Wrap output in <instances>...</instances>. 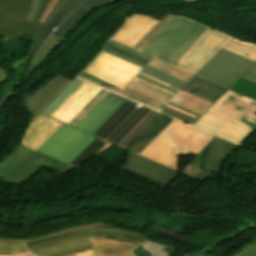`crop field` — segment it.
I'll list each match as a JSON object with an SVG mask.
<instances>
[{
	"mask_svg": "<svg viewBox=\"0 0 256 256\" xmlns=\"http://www.w3.org/2000/svg\"><path fill=\"white\" fill-rule=\"evenodd\" d=\"M215 135L175 119L141 156L177 170V155H196Z\"/></svg>",
	"mask_w": 256,
	"mask_h": 256,
	"instance_id": "1",
	"label": "crop field"
},
{
	"mask_svg": "<svg viewBox=\"0 0 256 256\" xmlns=\"http://www.w3.org/2000/svg\"><path fill=\"white\" fill-rule=\"evenodd\" d=\"M206 30L197 23L174 17L142 52L174 65Z\"/></svg>",
	"mask_w": 256,
	"mask_h": 256,
	"instance_id": "2",
	"label": "crop field"
},
{
	"mask_svg": "<svg viewBox=\"0 0 256 256\" xmlns=\"http://www.w3.org/2000/svg\"><path fill=\"white\" fill-rule=\"evenodd\" d=\"M91 238L124 239L135 242L139 245L146 241L128 233L105 230H89L51 238L27 244L25 246L36 256H65L93 249Z\"/></svg>",
	"mask_w": 256,
	"mask_h": 256,
	"instance_id": "3",
	"label": "crop field"
},
{
	"mask_svg": "<svg viewBox=\"0 0 256 256\" xmlns=\"http://www.w3.org/2000/svg\"><path fill=\"white\" fill-rule=\"evenodd\" d=\"M126 100L93 135L123 147L157 111Z\"/></svg>",
	"mask_w": 256,
	"mask_h": 256,
	"instance_id": "4",
	"label": "crop field"
},
{
	"mask_svg": "<svg viewBox=\"0 0 256 256\" xmlns=\"http://www.w3.org/2000/svg\"><path fill=\"white\" fill-rule=\"evenodd\" d=\"M43 165L54 168L62 173L72 168L19 144L0 163V179L9 183H22L32 178Z\"/></svg>",
	"mask_w": 256,
	"mask_h": 256,
	"instance_id": "5",
	"label": "crop field"
},
{
	"mask_svg": "<svg viewBox=\"0 0 256 256\" xmlns=\"http://www.w3.org/2000/svg\"><path fill=\"white\" fill-rule=\"evenodd\" d=\"M32 0H0V42L20 36L35 37L45 25L25 20Z\"/></svg>",
	"mask_w": 256,
	"mask_h": 256,
	"instance_id": "6",
	"label": "crop field"
},
{
	"mask_svg": "<svg viewBox=\"0 0 256 256\" xmlns=\"http://www.w3.org/2000/svg\"><path fill=\"white\" fill-rule=\"evenodd\" d=\"M94 139L93 136L63 124L37 152L69 165Z\"/></svg>",
	"mask_w": 256,
	"mask_h": 256,
	"instance_id": "7",
	"label": "crop field"
},
{
	"mask_svg": "<svg viewBox=\"0 0 256 256\" xmlns=\"http://www.w3.org/2000/svg\"><path fill=\"white\" fill-rule=\"evenodd\" d=\"M119 95L159 110L179 90L139 73L123 90L107 88Z\"/></svg>",
	"mask_w": 256,
	"mask_h": 256,
	"instance_id": "8",
	"label": "crop field"
},
{
	"mask_svg": "<svg viewBox=\"0 0 256 256\" xmlns=\"http://www.w3.org/2000/svg\"><path fill=\"white\" fill-rule=\"evenodd\" d=\"M253 63L222 49L197 75L229 88Z\"/></svg>",
	"mask_w": 256,
	"mask_h": 256,
	"instance_id": "9",
	"label": "crop field"
},
{
	"mask_svg": "<svg viewBox=\"0 0 256 256\" xmlns=\"http://www.w3.org/2000/svg\"><path fill=\"white\" fill-rule=\"evenodd\" d=\"M244 96L228 89L208 112L255 131L256 100Z\"/></svg>",
	"mask_w": 256,
	"mask_h": 256,
	"instance_id": "10",
	"label": "crop field"
},
{
	"mask_svg": "<svg viewBox=\"0 0 256 256\" xmlns=\"http://www.w3.org/2000/svg\"><path fill=\"white\" fill-rule=\"evenodd\" d=\"M141 70L140 67L101 52L84 72L123 89Z\"/></svg>",
	"mask_w": 256,
	"mask_h": 256,
	"instance_id": "11",
	"label": "crop field"
},
{
	"mask_svg": "<svg viewBox=\"0 0 256 256\" xmlns=\"http://www.w3.org/2000/svg\"><path fill=\"white\" fill-rule=\"evenodd\" d=\"M230 39L208 29L175 66L196 74Z\"/></svg>",
	"mask_w": 256,
	"mask_h": 256,
	"instance_id": "12",
	"label": "crop field"
},
{
	"mask_svg": "<svg viewBox=\"0 0 256 256\" xmlns=\"http://www.w3.org/2000/svg\"><path fill=\"white\" fill-rule=\"evenodd\" d=\"M238 148L215 136L189 164L207 168L200 174L201 181L205 182Z\"/></svg>",
	"mask_w": 256,
	"mask_h": 256,
	"instance_id": "13",
	"label": "crop field"
},
{
	"mask_svg": "<svg viewBox=\"0 0 256 256\" xmlns=\"http://www.w3.org/2000/svg\"><path fill=\"white\" fill-rule=\"evenodd\" d=\"M125 170L162 188H165L168 184H170L179 174V172L173 169L133 153L128 159Z\"/></svg>",
	"mask_w": 256,
	"mask_h": 256,
	"instance_id": "14",
	"label": "crop field"
},
{
	"mask_svg": "<svg viewBox=\"0 0 256 256\" xmlns=\"http://www.w3.org/2000/svg\"><path fill=\"white\" fill-rule=\"evenodd\" d=\"M194 126L212 132L239 145H241L254 131L248 130L207 112L194 124Z\"/></svg>",
	"mask_w": 256,
	"mask_h": 256,
	"instance_id": "15",
	"label": "crop field"
},
{
	"mask_svg": "<svg viewBox=\"0 0 256 256\" xmlns=\"http://www.w3.org/2000/svg\"><path fill=\"white\" fill-rule=\"evenodd\" d=\"M124 101L125 98L109 92L76 128L92 134Z\"/></svg>",
	"mask_w": 256,
	"mask_h": 256,
	"instance_id": "16",
	"label": "crop field"
},
{
	"mask_svg": "<svg viewBox=\"0 0 256 256\" xmlns=\"http://www.w3.org/2000/svg\"><path fill=\"white\" fill-rule=\"evenodd\" d=\"M99 89L100 87L84 82L50 117L67 123Z\"/></svg>",
	"mask_w": 256,
	"mask_h": 256,
	"instance_id": "17",
	"label": "crop field"
},
{
	"mask_svg": "<svg viewBox=\"0 0 256 256\" xmlns=\"http://www.w3.org/2000/svg\"><path fill=\"white\" fill-rule=\"evenodd\" d=\"M158 21L133 13L112 39L133 47Z\"/></svg>",
	"mask_w": 256,
	"mask_h": 256,
	"instance_id": "18",
	"label": "crop field"
},
{
	"mask_svg": "<svg viewBox=\"0 0 256 256\" xmlns=\"http://www.w3.org/2000/svg\"><path fill=\"white\" fill-rule=\"evenodd\" d=\"M172 120L158 112L123 148L139 154Z\"/></svg>",
	"mask_w": 256,
	"mask_h": 256,
	"instance_id": "19",
	"label": "crop field"
},
{
	"mask_svg": "<svg viewBox=\"0 0 256 256\" xmlns=\"http://www.w3.org/2000/svg\"><path fill=\"white\" fill-rule=\"evenodd\" d=\"M69 82L70 81L60 76L54 77L26 100V107L32 116V120L61 92V90Z\"/></svg>",
	"mask_w": 256,
	"mask_h": 256,
	"instance_id": "20",
	"label": "crop field"
},
{
	"mask_svg": "<svg viewBox=\"0 0 256 256\" xmlns=\"http://www.w3.org/2000/svg\"><path fill=\"white\" fill-rule=\"evenodd\" d=\"M61 125L62 123L40 114L31 123L22 145L36 151Z\"/></svg>",
	"mask_w": 256,
	"mask_h": 256,
	"instance_id": "21",
	"label": "crop field"
},
{
	"mask_svg": "<svg viewBox=\"0 0 256 256\" xmlns=\"http://www.w3.org/2000/svg\"><path fill=\"white\" fill-rule=\"evenodd\" d=\"M182 90L214 103L227 88L195 75Z\"/></svg>",
	"mask_w": 256,
	"mask_h": 256,
	"instance_id": "22",
	"label": "crop field"
},
{
	"mask_svg": "<svg viewBox=\"0 0 256 256\" xmlns=\"http://www.w3.org/2000/svg\"><path fill=\"white\" fill-rule=\"evenodd\" d=\"M95 256H133L130 250L135 243L116 239H92Z\"/></svg>",
	"mask_w": 256,
	"mask_h": 256,
	"instance_id": "23",
	"label": "crop field"
},
{
	"mask_svg": "<svg viewBox=\"0 0 256 256\" xmlns=\"http://www.w3.org/2000/svg\"><path fill=\"white\" fill-rule=\"evenodd\" d=\"M170 102L202 115L212 103L180 90Z\"/></svg>",
	"mask_w": 256,
	"mask_h": 256,
	"instance_id": "24",
	"label": "crop field"
},
{
	"mask_svg": "<svg viewBox=\"0 0 256 256\" xmlns=\"http://www.w3.org/2000/svg\"><path fill=\"white\" fill-rule=\"evenodd\" d=\"M94 227H96V228H94ZM89 229H105V230H115V231L128 232V233L135 234L137 236H140V237L148 240L147 238H145V237H143V236H141L137 233L122 230V229H119V228H116V227H112L108 224L96 222V223H88V224H83V225H79V226L70 227V228L60 230V231H57V232H54V233H51V234L43 235V236H38V237L25 239L24 243L27 244V243H31V242H35V241H39V240H43V239H47V238H51V237L71 233V232L84 231V230H89Z\"/></svg>",
	"mask_w": 256,
	"mask_h": 256,
	"instance_id": "25",
	"label": "crop field"
},
{
	"mask_svg": "<svg viewBox=\"0 0 256 256\" xmlns=\"http://www.w3.org/2000/svg\"><path fill=\"white\" fill-rule=\"evenodd\" d=\"M88 14L89 12L78 7L58 26L53 34L62 39H66L69 34L76 28V26L86 18Z\"/></svg>",
	"mask_w": 256,
	"mask_h": 256,
	"instance_id": "26",
	"label": "crop field"
},
{
	"mask_svg": "<svg viewBox=\"0 0 256 256\" xmlns=\"http://www.w3.org/2000/svg\"><path fill=\"white\" fill-rule=\"evenodd\" d=\"M161 112L192 124L200 115L168 102ZM196 122V121H195ZM194 122V123H195Z\"/></svg>",
	"mask_w": 256,
	"mask_h": 256,
	"instance_id": "27",
	"label": "crop field"
},
{
	"mask_svg": "<svg viewBox=\"0 0 256 256\" xmlns=\"http://www.w3.org/2000/svg\"><path fill=\"white\" fill-rule=\"evenodd\" d=\"M77 4L78 3H75L71 0H67L58 10V12L53 16V18L49 21V23L43 29L41 34L38 36V38L44 39L52 31V29L60 22V20Z\"/></svg>",
	"mask_w": 256,
	"mask_h": 256,
	"instance_id": "28",
	"label": "crop field"
},
{
	"mask_svg": "<svg viewBox=\"0 0 256 256\" xmlns=\"http://www.w3.org/2000/svg\"><path fill=\"white\" fill-rule=\"evenodd\" d=\"M83 81L75 79L64 91H62L43 111L42 113L49 116L66 98H68Z\"/></svg>",
	"mask_w": 256,
	"mask_h": 256,
	"instance_id": "29",
	"label": "crop field"
},
{
	"mask_svg": "<svg viewBox=\"0 0 256 256\" xmlns=\"http://www.w3.org/2000/svg\"><path fill=\"white\" fill-rule=\"evenodd\" d=\"M141 73L151 76L155 79H158V80H160L164 83H167L171 86H174L178 89H180L182 86H184L186 84V82H184L180 79H177L171 75H168L162 71H159L155 68H152L148 65L141 71Z\"/></svg>",
	"mask_w": 256,
	"mask_h": 256,
	"instance_id": "30",
	"label": "crop field"
},
{
	"mask_svg": "<svg viewBox=\"0 0 256 256\" xmlns=\"http://www.w3.org/2000/svg\"><path fill=\"white\" fill-rule=\"evenodd\" d=\"M107 93H108V91L101 88L85 104V106L68 122V124L75 127Z\"/></svg>",
	"mask_w": 256,
	"mask_h": 256,
	"instance_id": "31",
	"label": "crop field"
},
{
	"mask_svg": "<svg viewBox=\"0 0 256 256\" xmlns=\"http://www.w3.org/2000/svg\"><path fill=\"white\" fill-rule=\"evenodd\" d=\"M224 49L256 61V46L231 40Z\"/></svg>",
	"mask_w": 256,
	"mask_h": 256,
	"instance_id": "32",
	"label": "crop field"
},
{
	"mask_svg": "<svg viewBox=\"0 0 256 256\" xmlns=\"http://www.w3.org/2000/svg\"><path fill=\"white\" fill-rule=\"evenodd\" d=\"M148 65L155 67L159 70H162L168 74H171L177 78H180L186 82L193 76V74H191V73H188V72H185L178 68H175V67H173L167 63H164L156 58H154Z\"/></svg>",
	"mask_w": 256,
	"mask_h": 256,
	"instance_id": "33",
	"label": "crop field"
},
{
	"mask_svg": "<svg viewBox=\"0 0 256 256\" xmlns=\"http://www.w3.org/2000/svg\"><path fill=\"white\" fill-rule=\"evenodd\" d=\"M27 252L21 240L0 238V255H13Z\"/></svg>",
	"mask_w": 256,
	"mask_h": 256,
	"instance_id": "34",
	"label": "crop field"
},
{
	"mask_svg": "<svg viewBox=\"0 0 256 256\" xmlns=\"http://www.w3.org/2000/svg\"><path fill=\"white\" fill-rule=\"evenodd\" d=\"M64 40L50 36L39 51L34 63L40 65Z\"/></svg>",
	"mask_w": 256,
	"mask_h": 256,
	"instance_id": "35",
	"label": "crop field"
},
{
	"mask_svg": "<svg viewBox=\"0 0 256 256\" xmlns=\"http://www.w3.org/2000/svg\"><path fill=\"white\" fill-rule=\"evenodd\" d=\"M106 142L96 138L85 150H83L72 162L70 165L73 167L82 163L86 159L93 156L100 148H102Z\"/></svg>",
	"mask_w": 256,
	"mask_h": 256,
	"instance_id": "36",
	"label": "crop field"
},
{
	"mask_svg": "<svg viewBox=\"0 0 256 256\" xmlns=\"http://www.w3.org/2000/svg\"><path fill=\"white\" fill-rule=\"evenodd\" d=\"M173 18V16L163 17L135 46L134 48L142 50L157 33Z\"/></svg>",
	"mask_w": 256,
	"mask_h": 256,
	"instance_id": "37",
	"label": "crop field"
},
{
	"mask_svg": "<svg viewBox=\"0 0 256 256\" xmlns=\"http://www.w3.org/2000/svg\"><path fill=\"white\" fill-rule=\"evenodd\" d=\"M231 89L256 99V84L241 78Z\"/></svg>",
	"mask_w": 256,
	"mask_h": 256,
	"instance_id": "38",
	"label": "crop field"
},
{
	"mask_svg": "<svg viewBox=\"0 0 256 256\" xmlns=\"http://www.w3.org/2000/svg\"><path fill=\"white\" fill-rule=\"evenodd\" d=\"M145 250H147L152 256H168L167 253L164 251L167 247L160 246L157 243L153 242H146L141 245Z\"/></svg>",
	"mask_w": 256,
	"mask_h": 256,
	"instance_id": "39",
	"label": "crop field"
},
{
	"mask_svg": "<svg viewBox=\"0 0 256 256\" xmlns=\"http://www.w3.org/2000/svg\"><path fill=\"white\" fill-rule=\"evenodd\" d=\"M117 0H86L80 7L92 11L96 8L105 6L107 4L113 3Z\"/></svg>",
	"mask_w": 256,
	"mask_h": 256,
	"instance_id": "40",
	"label": "crop field"
},
{
	"mask_svg": "<svg viewBox=\"0 0 256 256\" xmlns=\"http://www.w3.org/2000/svg\"><path fill=\"white\" fill-rule=\"evenodd\" d=\"M109 44H111V45H113V46H116V47H118V48H121V49H123V50H125V51H128V52H130V53H133V54H135V55H137V56H140V57H142V58H145V59H147V60H149V61H151V60L153 59V57H151V56H149V55H146V54H144V53H142V52H139V51H137V50H134V49H132V48H130V47H127V46H125V45H122V44H120V43H118V42H115V41H113V40H110V41H109Z\"/></svg>",
	"mask_w": 256,
	"mask_h": 256,
	"instance_id": "41",
	"label": "crop field"
},
{
	"mask_svg": "<svg viewBox=\"0 0 256 256\" xmlns=\"http://www.w3.org/2000/svg\"><path fill=\"white\" fill-rule=\"evenodd\" d=\"M106 48H108V49H110V50H113V51H115V52H117V53H120V54H122V55H124V56H127V57H129V58H131V59H134V60H136V61H138V62H141V63H143V64H145V65L149 63V61H147V60H145V59H142V58H140V57H137V56H135V55H133V54H130V53H128V52H125V51H123V50H121V49H118V48H116V47H113V46H111V45H109V44H107Z\"/></svg>",
	"mask_w": 256,
	"mask_h": 256,
	"instance_id": "42",
	"label": "crop field"
},
{
	"mask_svg": "<svg viewBox=\"0 0 256 256\" xmlns=\"http://www.w3.org/2000/svg\"><path fill=\"white\" fill-rule=\"evenodd\" d=\"M50 0H42V4L40 6V9L34 19V21L39 22L43 12L45 11L46 7L48 6ZM61 2V0H59V2L56 4V6L53 8V10L50 12V14L48 15V17L46 18V20L53 14V12L55 11L56 7L58 6V4ZM46 20L44 21V24L46 22Z\"/></svg>",
	"mask_w": 256,
	"mask_h": 256,
	"instance_id": "43",
	"label": "crop field"
},
{
	"mask_svg": "<svg viewBox=\"0 0 256 256\" xmlns=\"http://www.w3.org/2000/svg\"><path fill=\"white\" fill-rule=\"evenodd\" d=\"M204 169L203 168H198L194 166H190L189 164L184 168L182 173L189 177H194L196 174H200Z\"/></svg>",
	"mask_w": 256,
	"mask_h": 256,
	"instance_id": "44",
	"label": "crop field"
},
{
	"mask_svg": "<svg viewBox=\"0 0 256 256\" xmlns=\"http://www.w3.org/2000/svg\"><path fill=\"white\" fill-rule=\"evenodd\" d=\"M103 52L108 53V54H110V55H113V56H115V57H117V58H120V59H122V60H125V61H127V62H130V63H132V64H135V65H137V66H140V67H142V68L145 67V65H143V64H141V63H138V62H136V61H134V60H131V59L127 58V57H124V56H122V55H120V54H117V53H115V52H113V51H110V50H108V49H106V48H104Z\"/></svg>",
	"mask_w": 256,
	"mask_h": 256,
	"instance_id": "45",
	"label": "crop field"
},
{
	"mask_svg": "<svg viewBox=\"0 0 256 256\" xmlns=\"http://www.w3.org/2000/svg\"><path fill=\"white\" fill-rule=\"evenodd\" d=\"M243 78L256 83V64H254L244 75Z\"/></svg>",
	"mask_w": 256,
	"mask_h": 256,
	"instance_id": "46",
	"label": "crop field"
},
{
	"mask_svg": "<svg viewBox=\"0 0 256 256\" xmlns=\"http://www.w3.org/2000/svg\"><path fill=\"white\" fill-rule=\"evenodd\" d=\"M40 4H41V0H33V5H32L31 10L26 18L27 20H31V21L33 20Z\"/></svg>",
	"mask_w": 256,
	"mask_h": 256,
	"instance_id": "47",
	"label": "crop field"
},
{
	"mask_svg": "<svg viewBox=\"0 0 256 256\" xmlns=\"http://www.w3.org/2000/svg\"><path fill=\"white\" fill-rule=\"evenodd\" d=\"M40 43H41L40 39L32 38V45H31V49L29 51L28 57H30V58L32 57V55L34 54L35 50L40 45Z\"/></svg>",
	"mask_w": 256,
	"mask_h": 256,
	"instance_id": "48",
	"label": "crop field"
},
{
	"mask_svg": "<svg viewBox=\"0 0 256 256\" xmlns=\"http://www.w3.org/2000/svg\"><path fill=\"white\" fill-rule=\"evenodd\" d=\"M58 2V0H51L49 6L47 7L42 19L40 20L41 23H43V21L45 20L46 16L48 15V13L51 11V9L54 7V5ZM56 6V5H55ZM53 10V9H52ZM50 14V13H49ZM48 17V16H47Z\"/></svg>",
	"mask_w": 256,
	"mask_h": 256,
	"instance_id": "49",
	"label": "crop field"
},
{
	"mask_svg": "<svg viewBox=\"0 0 256 256\" xmlns=\"http://www.w3.org/2000/svg\"><path fill=\"white\" fill-rule=\"evenodd\" d=\"M81 75H84V76H86V77H89V78H92V79H94V80H97V81L102 82L99 86L115 87V86H112V85H110V84H108V83H106V82H104V81H101V80L95 78V77H92V76H90V75H88V74H86V73H84V72H82Z\"/></svg>",
	"mask_w": 256,
	"mask_h": 256,
	"instance_id": "50",
	"label": "crop field"
},
{
	"mask_svg": "<svg viewBox=\"0 0 256 256\" xmlns=\"http://www.w3.org/2000/svg\"><path fill=\"white\" fill-rule=\"evenodd\" d=\"M132 253L134 254V256H150V254L145 250L139 252V251L133 249Z\"/></svg>",
	"mask_w": 256,
	"mask_h": 256,
	"instance_id": "51",
	"label": "crop field"
},
{
	"mask_svg": "<svg viewBox=\"0 0 256 256\" xmlns=\"http://www.w3.org/2000/svg\"><path fill=\"white\" fill-rule=\"evenodd\" d=\"M8 73L0 67V83L7 79Z\"/></svg>",
	"mask_w": 256,
	"mask_h": 256,
	"instance_id": "52",
	"label": "crop field"
},
{
	"mask_svg": "<svg viewBox=\"0 0 256 256\" xmlns=\"http://www.w3.org/2000/svg\"><path fill=\"white\" fill-rule=\"evenodd\" d=\"M78 77H80V78H82V79H84V80H86V81L92 82V83H94V84H97V85H99V84H100V82H97V81L91 80V79L86 78V77H83V76H81V75H78Z\"/></svg>",
	"mask_w": 256,
	"mask_h": 256,
	"instance_id": "53",
	"label": "crop field"
},
{
	"mask_svg": "<svg viewBox=\"0 0 256 256\" xmlns=\"http://www.w3.org/2000/svg\"><path fill=\"white\" fill-rule=\"evenodd\" d=\"M67 1V0H66ZM65 2V0H63L60 4H59V6L57 7V9H56V11L61 7V5L63 4ZM56 11L54 12V14L56 13ZM53 14V15H54ZM52 15V16H53ZM52 16L47 20V22H46V24L48 23V21L52 18Z\"/></svg>",
	"mask_w": 256,
	"mask_h": 256,
	"instance_id": "54",
	"label": "crop field"
},
{
	"mask_svg": "<svg viewBox=\"0 0 256 256\" xmlns=\"http://www.w3.org/2000/svg\"><path fill=\"white\" fill-rule=\"evenodd\" d=\"M13 256H33L31 253L27 252L24 254H20V255H13Z\"/></svg>",
	"mask_w": 256,
	"mask_h": 256,
	"instance_id": "55",
	"label": "crop field"
},
{
	"mask_svg": "<svg viewBox=\"0 0 256 256\" xmlns=\"http://www.w3.org/2000/svg\"><path fill=\"white\" fill-rule=\"evenodd\" d=\"M194 256H211V255H208V254H206V253L201 252V253H199V254H197V255H194Z\"/></svg>",
	"mask_w": 256,
	"mask_h": 256,
	"instance_id": "56",
	"label": "crop field"
},
{
	"mask_svg": "<svg viewBox=\"0 0 256 256\" xmlns=\"http://www.w3.org/2000/svg\"><path fill=\"white\" fill-rule=\"evenodd\" d=\"M112 144H109V143H107L101 150H103V149H105V148H107V147H109V146H111ZM101 150H99L98 152H100ZM97 152V153H98Z\"/></svg>",
	"mask_w": 256,
	"mask_h": 256,
	"instance_id": "57",
	"label": "crop field"
},
{
	"mask_svg": "<svg viewBox=\"0 0 256 256\" xmlns=\"http://www.w3.org/2000/svg\"><path fill=\"white\" fill-rule=\"evenodd\" d=\"M87 255H88V256H93V252H92V250L87 251Z\"/></svg>",
	"mask_w": 256,
	"mask_h": 256,
	"instance_id": "58",
	"label": "crop field"
},
{
	"mask_svg": "<svg viewBox=\"0 0 256 256\" xmlns=\"http://www.w3.org/2000/svg\"><path fill=\"white\" fill-rule=\"evenodd\" d=\"M77 256H87L86 255V252H84V253H78V254H76Z\"/></svg>",
	"mask_w": 256,
	"mask_h": 256,
	"instance_id": "59",
	"label": "crop field"
},
{
	"mask_svg": "<svg viewBox=\"0 0 256 256\" xmlns=\"http://www.w3.org/2000/svg\"><path fill=\"white\" fill-rule=\"evenodd\" d=\"M73 1H76V2L80 3L82 0H73Z\"/></svg>",
	"mask_w": 256,
	"mask_h": 256,
	"instance_id": "60",
	"label": "crop field"
},
{
	"mask_svg": "<svg viewBox=\"0 0 256 256\" xmlns=\"http://www.w3.org/2000/svg\"><path fill=\"white\" fill-rule=\"evenodd\" d=\"M69 256H75V254H73V255H69Z\"/></svg>",
	"mask_w": 256,
	"mask_h": 256,
	"instance_id": "61",
	"label": "crop field"
},
{
	"mask_svg": "<svg viewBox=\"0 0 256 256\" xmlns=\"http://www.w3.org/2000/svg\"><path fill=\"white\" fill-rule=\"evenodd\" d=\"M188 1H191V0H187L186 2H188Z\"/></svg>",
	"mask_w": 256,
	"mask_h": 256,
	"instance_id": "62",
	"label": "crop field"
}]
</instances>
